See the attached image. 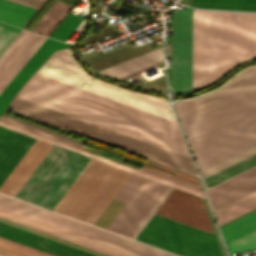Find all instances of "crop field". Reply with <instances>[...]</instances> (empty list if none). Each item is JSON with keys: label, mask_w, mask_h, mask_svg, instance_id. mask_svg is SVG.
Listing matches in <instances>:
<instances>
[{"label": "crop field", "mask_w": 256, "mask_h": 256, "mask_svg": "<svg viewBox=\"0 0 256 256\" xmlns=\"http://www.w3.org/2000/svg\"><path fill=\"white\" fill-rule=\"evenodd\" d=\"M76 64L69 48L52 53ZM50 55L37 72L175 120L166 101L125 91L87 76L80 67ZM35 72L27 83L182 137L175 121ZM25 83L16 96L189 156L182 138ZM14 97L7 109L197 175L189 157L39 104Z\"/></svg>", "instance_id": "crop-field-2"}, {"label": "crop field", "mask_w": 256, "mask_h": 256, "mask_svg": "<svg viewBox=\"0 0 256 256\" xmlns=\"http://www.w3.org/2000/svg\"><path fill=\"white\" fill-rule=\"evenodd\" d=\"M36 12L37 10L0 0V20L9 24L18 27L26 26Z\"/></svg>", "instance_id": "crop-field-12"}, {"label": "crop field", "mask_w": 256, "mask_h": 256, "mask_svg": "<svg viewBox=\"0 0 256 256\" xmlns=\"http://www.w3.org/2000/svg\"><path fill=\"white\" fill-rule=\"evenodd\" d=\"M69 8L70 6L56 0L40 21L35 25L33 30L48 35Z\"/></svg>", "instance_id": "crop-field-17"}, {"label": "crop field", "mask_w": 256, "mask_h": 256, "mask_svg": "<svg viewBox=\"0 0 256 256\" xmlns=\"http://www.w3.org/2000/svg\"><path fill=\"white\" fill-rule=\"evenodd\" d=\"M256 166V154L242 160L224 170H221L205 179H203V184L205 189H209L225 180H228L246 170H249Z\"/></svg>", "instance_id": "crop-field-13"}, {"label": "crop field", "mask_w": 256, "mask_h": 256, "mask_svg": "<svg viewBox=\"0 0 256 256\" xmlns=\"http://www.w3.org/2000/svg\"><path fill=\"white\" fill-rule=\"evenodd\" d=\"M174 106L199 172L240 153L256 145V66Z\"/></svg>", "instance_id": "crop-field-3"}, {"label": "crop field", "mask_w": 256, "mask_h": 256, "mask_svg": "<svg viewBox=\"0 0 256 256\" xmlns=\"http://www.w3.org/2000/svg\"><path fill=\"white\" fill-rule=\"evenodd\" d=\"M27 7L39 10L46 0H8Z\"/></svg>", "instance_id": "crop-field-26"}, {"label": "crop field", "mask_w": 256, "mask_h": 256, "mask_svg": "<svg viewBox=\"0 0 256 256\" xmlns=\"http://www.w3.org/2000/svg\"><path fill=\"white\" fill-rule=\"evenodd\" d=\"M256 190V167L209 190L208 197L213 209H217Z\"/></svg>", "instance_id": "crop-field-10"}, {"label": "crop field", "mask_w": 256, "mask_h": 256, "mask_svg": "<svg viewBox=\"0 0 256 256\" xmlns=\"http://www.w3.org/2000/svg\"><path fill=\"white\" fill-rule=\"evenodd\" d=\"M191 6L256 11V0H192Z\"/></svg>", "instance_id": "crop-field-15"}, {"label": "crop field", "mask_w": 256, "mask_h": 256, "mask_svg": "<svg viewBox=\"0 0 256 256\" xmlns=\"http://www.w3.org/2000/svg\"><path fill=\"white\" fill-rule=\"evenodd\" d=\"M172 22V88L191 89L192 9L173 14Z\"/></svg>", "instance_id": "crop-field-7"}, {"label": "crop field", "mask_w": 256, "mask_h": 256, "mask_svg": "<svg viewBox=\"0 0 256 256\" xmlns=\"http://www.w3.org/2000/svg\"><path fill=\"white\" fill-rule=\"evenodd\" d=\"M49 1H50V0H49ZM49 1H48V2H49ZM54 1H55V0H51V1L46 5V7L44 6L45 8L43 7L44 9L40 12V14L38 13L39 15H38V16L35 18V20L29 25V27L27 28V30L33 31V30H31V29L33 28V26L38 22V20L43 16V14L48 10V8L53 4ZM60 1H62V2H64V3H66V4H68V5H70V6L73 7L74 4H75L78 0H60ZM46 3H47V2H46ZM46 3H45V4H46ZM72 7H71V8H72ZM71 8H70V9H71ZM41 9H42V8H41ZM41 9H40V10H41ZM40 10H39V11H40ZM68 12H69V11H68ZM68 12H67V13H68ZM67 13H66V14H67ZM66 14H65V15H66ZM36 15H37V14H36ZM36 15H35V16H36ZM35 16H34V17H35ZM34 17H33V18H34ZM64 17H65V16H64ZM64 17H63V18H64ZM63 18H62V19H63ZM62 19H61V20H62ZM61 20H60V21H61ZM31 21H32V20H31ZM31 21H30V22H31ZM30 22H29V23H30ZM29 23H28V24H29ZM59 23H60V22H59ZM59 23H58V24H59ZM58 24H57V25H58ZM57 25H56V26H57ZM56 26H55V27H56ZM26 27H27V26H26ZM26 27H25V28H26ZM25 28H24V29H25ZM54 29H55V28H54ZM54 29H53V30H54ZM53 30H52V31H53ZM52 31H51V32H52ZM34 32H35V31H34ZM51 32H50V33H51ZM37 33H38V32H37ZM40 34H41V33H40ZM49 35H50V34H49ZM49 35H48V36H49Z\"/></svg>", "instance_id": "crop-field-25"}, {"label": "crop field", "mask_w": 256, "mask_h": 256, "mask_svg": "<svg viewBox=\"0 0 256 256\" xmlns=\"http://www.w3.org/2000/svg\"><path fill=\"white\" fill-rule=\"evenodd\" d=\"M163 62V47L97 73L121 80Z\"/></svg>", "instance_id": "crop-field-11"}, {"label": "crop field", "mask_w": 256, "mask_h": 256, "mask_svg": "<svg viewBox=\"0 0 256 256\" xmlns=\"http://www.w3.org/2000/svg\"><path fill=\"white\" fill-rule=\"evenodd\" d=\"M255 153H256V146L252 147V148H250V149H248V150H246V151H244V152H242V153H240L236 156H233V157H231V158H229V159H227V160H225V161H223L219 164H216V165L200 172L199 174H200L201 178L203 179V178H205V177H207V176H209V175H211V174H213V173H215V172H217L221 169H224V168H226V167H228V166H230V165H232V164H234V163H236V162H238L242 159H245V158H247V157H249V156H251Z\"/></svg>", "instance_id": "crop-field-21"}, {"label": "crop field", "mask_w": 256, "mask_h": 256, "mask_svg": "<svg viewBox=\"0 0 256 256\" xmlns=\"http://www.w3.org/2000/svg\"><path fill=\"white\" fill-rule=\"evenodd\" d=\"M2 116H5V117H7V118H10V119L16 120V121H18V122H21V123H24V124L30 125V126H32V127H35V128L41 129V130H43V131H46V132L52 133V134H54V135H57V136H60V137L66 138V139H68V140H71V141H74V142H77V143H79V144H82V145H83V143H80V142H78V141H75V140L69 139V138H67V137H64V136H61V135L55 134V133H53V132H50V131L44 130V129H42V128H39V127L33 126V125H31V124H28V123H25V122L19 121V120H17V119H14V118L8 117V116H6V115H3V114H2ZM2 116H0V120H2V121L8 122V123H11V124H14V125H17V126H20V127L26 128V129H29V130H31V131H34V132L40 133V134H42V135H45V136H48V137L54 138V139H56V140H59V141L65 142V143H67V144H70V145L76 146V147H78V148H81V147H82V145H79V144H77V143H74V142L68 141V140H66V139H63V138H60V137L54 136V135H52V134H49V133L43 132V131H41V130H38V129L32 128V127H30V126H27V125H24V124H21V123H18V122H16V121H13V120L7 119V118L2 117Z\"/></svg>", "instance_id": "crop-field-22"}, {"label": "crop field", "mask_w": 256, "mask_h": 256, "mask_svg": "<svg viewBox=\"0 0 256 256\" xmlns=\"http://www.w3.org/2000/svg\"><path fill=\"white\" fill-rule=\"evenodd\" d=\"M0 256H54L0 237Z\"/></svg>", "instance_id": "crop-field-18"}, {"label": "crop field", "mask_w": 256, "mask_h": 256, "mask_svg": "<svg viewBox=\"0 0 256 256\" xmlns=\"http://www.w3.org/2000/svg\"><path fill=\"white\" fill-rule=\"evenodd\" d=\"M46 37L22 30L0 56V93L44 42Z\"/></svg>", "instance_id": "crop-field-8"}, {"label": "crop field", "mask_w": 256, "mask_h": 256, "mask_svg": "<svg viewBox=\"0 0 256 256\" xmlns=\"http://www.w3.org/2000/svg\"><path fill=\"white\" fill-rule=\"evenodd\" d=\"M69 47L67 43L47 38L5 90L0 94V115L11 101L13 96L30 78V76L39 68L47 57L57 49Z\"/></svg>", "instance_id": "crop-field-9"}, {"label": "crop field", "mask_w": 256, "mask_h": 256, "mask_svg": "<svg viewBox=\"0 0 256 256\" xmlns=\"http://www.w3.org/2000/svg\"><path fill=\"white\" fill-rule=\"evenodd\" d=\"M256 58V14L193 9L192 91Z\"/></svg>", "instance_id": "crop-field-4"}, {"label": "crop field", "mask_w": 256, "mask_h": 256, "mask_svg": "<svg viewBox=\"0 0 256 256\" xmlns=\"http://www.w3.org/2000/svg\"><path fill=\"white\" fill-rule=\"evenodd\" d=\"M228 253L241 252L256 248V231L226 245Z\"/></svg>", "instance_id": "crop-field-23"}, {"label": "crop field", "mask_w": 256, "mask_h": 256, "mask_svg": "<svg viewBox=\"0 0 256 256\" xmlns=\"http://www.w3.org/2000/svg\"><path fill=\"white\" fill-rule=\"evenodd\" d=\"M256 207V192L233 202L217 211H215V216L218 224H222L238 215H241Z\"/></svg>", "instance_id": "crop-field-14"}, {"label": "crop field", "mask_w": 256, "mask_h": 256, "mask_svg": "<svg viewBox=\"0 0 256 256\" xmlns=\"http://www.w3.org/2000/svg\"><path fill=\"white\" fill-rule=\"evenodd\" d=\"M88 160L59 149L22 200L51 209Z\"/></svg>", "instance_id": "crop-field-6"}, {"label": "crop field", "mask_w": 256, "mask_h": 256, "mask_svg": "<svg viewBox=\"0 0 256 256\" xmlns=\"http://www.w3.org/2000/svg\"><path fill=\"white\" fill-rule=\"evenodd\" d=\"M0 217L111 256H174L1 194Z\"/></svg>", "instance_id": "crop-field-5"}, {"label": "crop field", "mask_w": 256, "mask_h": 256, "mask_svg": "<svg viewBox=\"0 0 256 256\" xmlns=\"http://www.w3.org/2000/svg\"><path fill=\"white\" fill-rule=\"evenodd\" d=\"M21 29L0 23V55L19 34Z\"/></svg>", "instance_id": "crop-field-24"}, {"label": "crop field", "mask_w": 256, "mask_h": 256, "mask_svg": "<svg viewBox=\"0 0 256 256\" xmlns=\"http://www.w3.org/2000/svg\"><path fill=\"white\" fill-rule=\"evenodd\" d=\"M221 229L226 243L256 229V211L222 227Z\"/></svg>", "instance_id": "crop-field-16"}, {"label": "crop field", "mask_w": 256, "mask_h": 256, "mask_svg": "<svg viewBox=\"0 0 256 256\" xmlns=\"http://www.w3.org/2000/svg\"><path fill=\"white\" fill-rule=\"evenodd\" d=\"M84 18L68 13L50 37L66 42Z\"/></svg>", "instance_id": "crop-field-20"}, {"label": "crop field", "mask_w": 256, "mask_h": 256, "mask_svg": "<svg viewBox=\"0 0 256 256\" xmlns=\"http://www.w3.org/2000/svg\"><path fill=\"white\" fill-rule=\"evenodd\" d=\"M146 162L151 163V164H154V165H157V166H160V167H164V168H167V169H170V170H173V171H176V172H178V173H177L176 176H174V175L168 174V173H166V172H163V171L154 169V168L149 167V166H146V165H143V167H146V168L152 169V170H154V171H157V172H160V173H163V174L172 176V177H174V178H177V179H180V180H183V181L192 183V184H194V185L200 186V183H199L198 178H197L196 176H193V175H191V174H188V173L179 171V170H177V169L168 167V166H166V165H163V164L154 162V161L149 160V159H147ZM146 162H145V163H146ZM145 163H144V164H145ZM143 167H141V168H142V169H145V170H148V171H151V170L146 169V168H143ZM142 169H140V170H142ZM145 170H142V171H145ZM148 171H145V172H148ZM154 171H151V172L156 173V174H159V175H162V176H165V177H168V178H171V177H169V176H166V175H163V174L154 172ZM151 172H148V173L153 174V173H151ZM156 174H153V175H156ZM159 175H156V176H159ZM162 176H159V177H162ZM165 177H162V178L167 179V180H170V181L176 180V181H179V182H182V183L191 185V184H189V183H186V182H183V181L174 179V178H171V179H173V180H171V179H168V178H165ZM176 181H173V182L178 183V184H181V185H184V186H186V187H189V188H192V189H195V190H198V191H200V192H203L202 190H199V189H202V188H200L201 186H200V187H197V186L191 185V186H193V187L199 188V189H196V188H193V187H191V186H188V185H185V184L176 182ZM203 193H204V192H203Z\"/></svg>", "instance_id": "crop-field-19"}, {"label": "crop field", "mask_w": 256, "mask_h": 256, "mask_svg": "<svg viewBox=\"0 0 256 256\" xmlns=\"http://www.w3.org/2000/svg\"><path fill=\"white\" fill-rule=\"evenodd\" d=\"M0 126L65 148L94 160L156 180L180 190L205 198L203 193L151 176L137 169L114 162L90 152L79 150L27 130L0 121ZM0 127V192L12 196L49 144ZM59 148L50 146L13 197L21 199ZM89 160L75 180L53 206L52 210L93 224L110 200L130 177L131 173ZM132 174L114 199L127 203L108 226L113 231L152 180ZM153 182V181H152ZM151 182V184H152ZM150 184V185H151ZM149 185V186H150ZM148 186V187H149ZM157 182L144 191L135 207L118 224L116 233L134 239L156 208L171 191ZM173 188L156 212L213 231L200 197ZM206 199V198H205ZM112 201V200H111ZM109 205V204H108ZM133 205V206H134ZM154 213L135 240L175 253L180 256H222L215 233ZM102 214V213H101ZM99 218V217H98ZM113 231V232H114Z\"/></svg>", "instance_id": "crop-field-1"}]
</instances>
